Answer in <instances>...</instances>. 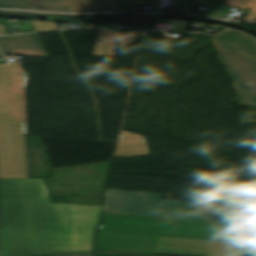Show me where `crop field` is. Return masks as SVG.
Here are the masks:
<instances>
[{"instance_id":"obj_1","label":"crop field","mask_w":256,"mask_h":256,"mask_svg":"<svg viewBox=\"0 0 256 256\" xmlns=\"http://www.w3.org/2000/svg\"><path fill=\"white\" fill-rule=\"evenodd\" d=\"M0 256L91 251L102 206L51 203L44 179L0 180Z\"/></svg>"},{"instance_id":"obj_2","label":"crop field","mask_w":256,"mask_h":256,"mask_svg":"<svg viewBox=\"0 0 256 256\" xmlns=\"http://www.w3.org/2000/svg\"><path fill=\"white\" fill-rule=\"evenodd\" d=\"M18 63L0 64V178H26L23 88Z\"/></svg>"},{"instance_id":"obj_3","label":"crop field","mask_w":256,"mask_h":256,"mask_svg":"<svg viewBox=\"0 0 256 256\" xmlns=\"http://www.w3.org/2000/svg\"><path fill=\"white\" fill-rule=\"evenodd\" d=\"M95 250L155 255L243 256L244 244L99 232Z\"/></svg>"},{"instance_id":"obj_4","label":"crop field","mask_w":256,"mask_h":256,"mask_svg":"<svg viewBox=\"0 0 256 256\" xmlns=\"http://www.w3.org/2000/svg\"><path fill=\"white\" fill-rule=\"evenodd\" d=\"M164 195L107 190L104 212L212 220L216 204L161 200Z\"/></svg>"},{"instance_id":"obj_5","label":"crop field","mask_w":256,"mask_h":256,"mask_svg":"<svg viewBox=\"0 0 256 256\" xmlns=\"http://www.w3.org/2000/svg\"><path fill=\"white\" fill-rule=\"evenodd\" d=\"M211 40L219 61L227 68L225 72L234 81L241 98L238 105L256 107V41L234 30Z\"/></svg>"},{"instance_id":"obj_6","label":"crop field","mask_w":256,"mask_h":256,"mask_svg":"<svg viewBox=\"0 0 256 256\" xmlns=\"http://www.w3.org/2000/svg\"><path fill=\"white\" fill-rule=\"evenodd\" d=\"M117 0H8L4 8L57 12H116Z\"/></svg>"},{"instance_id":"obj_7","label":"crop field","mask_w":256,"mask_h":256,"mask_svg":"<svg viewBox=\"0 0 256 256\" xmlns=\"http://www.w3.org/2000/svg\"><path fill=\"white\" fill-rule=\"evenodd\" d=\"M99 231L227 241L229 232L102 222Z\"/></svg>"},{"instance_id":"obj_8","label":"crop field","mask_w":256,"mask_h":256,"mask_svg":"<svg viewBox=\"0 0 256 256\" xmlns=\"http://www.w3.org/2000/svg\"><path fill=\"white\" fill-rule=\"evenodd\" d=\"M103 221L229 231L231 222L104 213Z\"/></svg>"},{"instance_id":"obj_9","label":"crop field","mask_w":256,"mask_h":256,"mask_svg":"<svg viewBox=\"0 0 256 256\" xmlns=\"http://www.w3.org/2000/svg\"><path fill=\"white\" fill-rule=\"evenodd\" d=\"M0 47L7 54L48 57L37 34L2 37L0 38Z\"/></svg>"},{"instance_id":"obj_10","label":"crop field","mask_w":256,"mask_h":256,"mask_svg":"<svg viewBox=\"0 0 256 256\" xmlns=\"http://www.w3.org/2000/svg\"><path fill=\"white\" fill-rule=\"evenodd\" d=\"M138 33L116 34L111 31L99 30L93 56L97 57H115V41L119 40L120 47L135 43ZM122 40H124L122 42Z\"/></svg>"},{"instance_id":"obj_11","label":"crop field","mask_w":256,"mask_h":256,"mask_svg":"<svg viewBox=\"0 0 256 256\" xmlns=\"http://www.w3.org/2000/svg\"><path fill=\"white\" fill-rule=\"evenodd\" d=\"M142 138L145 137L121 130L114 157L148 156V146Z\"/></svg>"},{"instance_id":"obj_12","label":"crop field","mask_w":256,"mask_h":256,"mask_svg":"<svg viewBox=\"0 0 256 256\" xmlns=\"http://www.w3.org/2000/svg\"><path fill=\"white\" fill-rule=\"evenodd\" d=\"M195 1L213 3L205 12L204 15L206 16L225 18L232 9L231 7L224 6V0H186L187 13L195 14Z\"/></svg>"},{"instance_id":"obj_13","label":"crop field","mask_w":256,"mask_h":256,"mask_svg":"<svg viewBox=\"0 0 256 256\" xmlns=\"http://www.w3.org/2000/svg\"><path fill=\"white\" fill-rule=\"evenodd\" d=\"M1 13L5 14H20V15H37L41 13H33V12H22V11H2ZM50 15H59V16H67L77 18V15H69V14H50Z\"/></svg>"},{"instance_id":"obj_14","label":"crop field","mask_w":256,"mask_h":256,"mask_svg":"<svg viewBox=\"0 0 256 256\" xmlns=\"http://www.w3.org/2000/svg\"><path fill=\"white\" fill-rule=\"evenodd\" d=\"M117 12H130V0H118Z\"/></svg>"},{"instance_id":"obj_15","label":"crop field","mask_w":256,"mask_h":256,"mask_svg":"<svg viewBox=\"0 0 256 256\" xmlns=\"http://www.w3.org/2000/svg\"><path fill=\"white\" fill-rule=\"evenodd\" d=\"M94 256H146V255H133L123 253H112V252H94Z\"/></svg>"},{"instance_id":"obj_16","label":"crop field","mask_w":256,"mask_h":256,"mask_svg":"<svg viewBox=\"0 0 256 256\" xmlns=\"http://www.w3.org/2000/svg\"><path fill=\"white\" fill-rule=\"evenodd\" d=\"M43 256H91V252L57 254V255H43Z\"/></svg>"},{"instance_id":"obj_17","label":"crop field","mask_w":256,"mask_h":256,"mask_svg":"<svg viewBox=\"0 0 256 256\" xmlns=\"http://www.w3.org/2000/svg\"><path fill=\"white\" fill-rule=\"evenodd\" d=\"M179 12L186 13L185 0H178Z\"/></svg>"},{"instance_id":"obj_18","label":"crop field","mask_w":256,"mask_h":256,"mask_svg":"<svg viewBox=\"0 0 256 256\" xmlns=\"http://www.w3.org/2000/svg\"><path fill=\"white\" fill-rule=\"evenodd\" d=\"M8 34L6 28L4 25L0 26V35Z\"/></svg>"},{"instance_id":"obj_19","label":"crop field","mask_w":256,"mask_h":256,"mask_svg":"<svg viewBox=\"0 0 256 256\" xmlns=\"http://www.w3.org/2000/svg\"><path fill=\"white\" fill-rule=\"evenodd\" d=\"M7 0H0V8H3Z\"/></svg>"},{"instance_id":"obj_20","label":"crop field","mask_w":256,"mask_h":256,"mask_svg":"<svg viewBox=\"0 0 256 256\" xmlns=\"http://www.w3.org/2000/svg\"><path fill=\"white\" fill-rule=\"evenodd\" d=\"M0 227H1V223H0Z\"/></svg>"},{"instance_id":"obj_21","label":"crop field","mask_w":256,"mask_h":256,"mask_svg":"<svg viewBox=\"0 0 256 256\" xmlns=\"http://www.w3.org/2000/svg\"><path fill=\"white\" fill-rule=\"evenodd\" d=\"M0 55H1V53H0Z\"/></svg>"},{"instance_id":"obj_22","label":"crop field","mask_w":256,"mask_h":256,"mask_svg":"<svg viewBox=\"0 0 256 256\" xmlns=\"http://www.w3.org/2000/svg\"><path fill=\"white\" fill-rule=\"evenodd\" d=\"M0 250H1V248H0Z\"/></svg>"}]
</instances>
